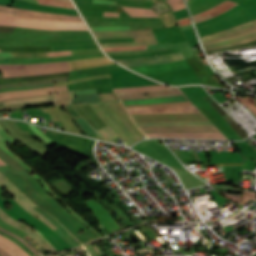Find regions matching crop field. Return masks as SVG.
I'll use <instances>...</instances> for the list:
<instances>
[{
  "instance_id": "crop-field-1",
  "label": "crop field",
  "mask_w": 256,
  "mask_h": 256,
  "mask_svg": "<svg viewBox=\"0 0 256 256\" xmlns=\"http://www.w3.org/2000/svg\"><path fill=\"white\" fill-rule=\"evenodd\" d=\"M205 50L237 45L256 39V21L201 38Z\"/></svg>"
},
{
  "instance_id": "crop-field-2",
  "label": "crop field",
  "mask_w": 256,
  "mask_h": 256,
  "mask_svg": "<svg viewBox=\"0 0 256 256\" xmlns=\"http://www.w3.org/2000/svg\"><path fill=\"white\" fill-rule=\"evenodd\" d=\"M1 194H3V192L0 189V208H2L6 213H8L17 220L21 219L29 223L36 230H38L57 250L71 248L49 227H47L40 220H38L33 215L25 211L22 207H20L13 198L5 200ZM5 201H7L11 206V209L8 211L5 209L3 205Z\"/></svg>"
},
{
  "instance_id": "crop-field-3",
  "label": "crop field",
  "mask_w": 256,
  "mask_h": 256,
  "mask_svg": "<svg viewBox=\"0 0 256 256\" xmlns=\"http://www.w3.org/2000/svg\"><path fill=\"white\" fill-rule=\"evenodd\" d=\"M150 94L143 96V94ZM123 105L189 101L179 88H168L140 93H115Z\"/></svg>"
},
{
  "instance_id": "crop-field-4",
  "label": "crop field",
  "mask_w": 256,
  "mask_h": 256,
  "mask_svg": "<svg viewBox=\"0 0 256 256\" xmlns=\"http://www.w3.org/2000/svg\"><path fill=\"white\" fill-rule=\"evenodd\" d=\"M0 25L30 27L43 30H87L83 22L49 20V19H27L14 16L0 15Z\"/></svg>"
},
{
  "instance_id": "crop-field-5",
  "label": "crop field",
  "mask_w": 256,
  "mask_h": 256,
  "mask_svg": "<svg viewBox=\"0 0 256 256\" xmlns=\"http://www.w3.org/2000/svg\"><path fill=\"white\" fill-rule=\"evenodd\" d=\"M66 62L27 65H0L3 78L43 75L69 71Z\"/></svg>"
},
{
  "instance_id": "crop-field-6",
  "label": "crop field",
  "mask_w": 256,
  "mask_h": 256,
  "mask_svg": "<svg viewBox=\"0 0 256 256\" xmlns=\"http://www.w3.org/2000/svg\"><path fill=\"white\" fill-rule=\"evenodd\" d=\"M97 39L103 38H127L134 37L135 43H106L101 44L102 47L117 46H139L155 44L157 41L153 37L150 30H131V31H93Z\"/></svg>"
},
{
  "instance_id": "crop-field-7",
  "label": "crop field",
  "mask_w": 256,
  "mask_h": 256,
  "mask_svg": "<svg viewBox=\"0 0 256 256\" xmlns=\"http://www.w3.org/2000/svg\"><path fill=\"white\" fill-rule=\"evenodd\" d=\"M140 126L163 125H206L211 122H166V123H136ZM144 132H219L214 125L207 126H164V127H140Z\"/></svg>"
},
{
  "instance_id": "crop-field-8",
  "label": "crop field",
  "mask_w": 256,
  "mask_h": 256,
  "mask_svg": "<svg viewBox=\"0 0 256 256\" xmlns=\"http://www.w3.org/2000/svg\"><path fill=\"white\" fill-rule=\"evenodd\" d=\"M0 186H6V191L11 194L15 198V200L29 213L35 215L42 221H44L48 226H50L53 230L57 229L47 218H45L42 214L36 212L33 208L36 207L33 205L21 192H19L15 186L3 175L0 174Z\"/></svg>"
},
{
  "instance_id": "crop-field-9",
  "label": "crop field",
  "mask_w": 256,
  "mask_h": 256,
  "mask_svg": "<svg viewBox=\"0 0 256 256\" xmlns=\"http://www.w3.org/2000/svg\"><path fill=\"white\" fill-rule=\"evenodd\" d=\"M0 14L22 16V17H28V18H49V19L81 21L80 17L55 15V14H48V13H42V12L21 10L14 7L1 6V5H0Z\"/></svg>"
},
{
  "instance_id": "crop-field-10",
  "label": "crop field",
  "mask_w": 256,
  "mask_h": 256,
  "mask_svg": "<svg viewBox=\"0 0 256 256\" xmlns=\"http://www.w3.org/2000/svg\"><path fill=\"white\" fill-rule=\"evenodd\" d=\"M183 59L180 52L172 53L168 55L154 56V57H140L125 60H117L127 67L149 65L154 63L169 62Z\"/></svg>"
},
{
  "instance_id": "crop-field-11",
  "label": "crop field",
  "mask_w": 256,
  "mask_h": 256,
  "mask_svg": "<svg viewBox=\"0 0 256 256\" xmlns=\"http://www.w3.org/2000/svg\"><path fill=\"white\" fill-rule=\"evenodd\" d=\"M62 91H68L66 85H60V86H55V87L45 88V89H38V90L4 92V93H0V96H4V97H0V100L16 98V97H23V96L42 95V94L62 92Z\"/></svg>"
},
{
  "instance_id": "crop-field-12",
  "label": "crop field",
  "mask_w": 256,
  "mask_h": 256,
  "mask_svg": "<svg viewBox=\"0 0 256 256\" xmlns=\"http://www.w3.org/2000/svg\"><path fill=\"white\" fill-rule=\"evenodd\" d=\"M0 218L4 221L14 225L15 227L25 231L32 238H34L42 247H44L47 251H55L37 232H31V228L23 223H19L15 221L12 217L6 214L3 210L0 209Z\"/></svg>"
},
{
  "instance_id": "crop-field-13",
  "label": "crop field",
  "mask_w": 256,
  "mask_h": 256,
  "mask_svg": "<svg viewBox=\"0 0 256 256\" xmlns=\"http://www.w3.org/2000/svg\"><path fill=\"white\" fill-rule=\"evenodd\" d=\"M129 113H151V112H197L194 105L191 106H169L148 108H126Z\"/></svg>"
},
{
  "instance_id": "crop-field-14",
  "label": "crop field",
  "mask_w": 256,
  "mask_h": 256,
  "mask_svg": "<svg viewBox=\"0 0 256 256\" xmlns=\"http://www.w3.org/2000/svg\"><path fill=\"white\" fill-rule=\"evenodd\" d=\"M149 138L152 137H179V138H210L227 139L221 133H145Z\"/></svg>"
},
{
  "instance_id": "crop-field-15",
  "label": "crop field",
  "mask_w": 256,
  "mask_h": 256,
  "mask_svg": "<svg viewBox=\"0 0 256 256\" xmlns=\"http://www.w3.org/2000/svg\"><path fill=\"white\" fill-rule=\"evenodd\" d=\"M103 106L119 121V123L136 139H141L143 136L127 121V119L110 103H105Z\"/></svg>"
},
{
  "instance_id": "crop-field-16",
  "label": "crop field",
  "mask_w": 256,
  "mask_h": 256,
  "mask_svg": "<svg viewBox=\"0 0 256 256\" xmlns=\"http://www.w3.org/2000/svg\"><path fill=\"white\" fill-rule=\"evenodd\" d=\"M237 3L231 2L229 0L219 4L218 6L207 10L203 13L197 14V15H193V19L195 21V23L206 20L208 18L214 17L230 8H232L233 6H235Z\"/></svg>"
},
{
  "instance_id": "crop-field-17",
  "label": "crop field",
  "mask_w": 256,
  "mask_h": 256,
  "mask_svg": "<svg viewBox=\"0 0 256 256\" xmlns=\"http://www.w3.org/2000/svg\"><path fill=\"white\" fill-rule=\"evenodd\" d=\"M222 1L224 0H187L192 15L210 9Z\"/></svg>"
},
{
  "instance_id": "crop-field-18",
  "label": "crop field",
  "mask_w": 256,
  "mask_h": 256,
  "mask_svg": "<svg viewBox=\"0 0 256 256\" xmlns=\"http://www.w3.org/2000/svg\"><path fill=\"white\" fill-rule=\"evenodd\" d=\"M0 248L4 249L11 256H29L17 244L0 235Z\"/></svg>"
},
{
  "instance_id": "crop-field-19",
  "label": "crop field",
  "mask_w": 256,
  "mask_h": 256,
  "mask_svg": "<svg viewBox=\"0 0 256 256\" xmlns=\"http://www.w3.org/2000/svg\"><path fill=\"white\" fill-rule=\"evenodd\" d=\"M75 91L76 90L70 91V92L51 94L55 106L69 105L73 98ZM42 96H47V95H42ZM34 97H39V96H34ZM25 98H31V97H25ZM16 99H23V98H16ZM10 100H14V99H10ZM3 101H6V100H3Z\"/></svg>"
},
{
  "instance_id": "crop-field-20",
  "label": "crop field",
  "mask_w": 256,
  "mask_h": 256,
  "mask_svg": "<svg viewBox=\"0 0 256 256\" xmlns=\"http://www.w3.org/2000/svg\"><path fill=\"white\" fill-rule=\"evenodd\" d=\"M122 8L131 16V17H158L155 12L151 9H141V8H133V7H125Z\"/></svg>"
},
{
  "instance_id": "crop-field-21",
  "label": "crop field",
  "mask_w": 256,
  "mask_h": 256,
  "mask_svg": "<svg viewBox=\"0 0 256 256\" xmlns=\"http://www.w3.org/2000/svg\"><path fill=\"white\" fill-rule=\"evenodd\" d=\"M40 183L41 185L47 190V192L52 195L55 199H57L59 202H61L69 211H71L80 221H82L86 226H88L98 237H101L95 229H93L89 224H87L82 218H80L74 211H72L60 198H58L53 192L50 191V189L47 187V185L44 183V181L38 177L37 175L34 176Z\"/></svg>"
},
{
  "instance_id": "crop-field-22",
  "label": "crop field",
  "mask_w": 256,
  "mask_h": 256,
  "mask_svg": "<svg viewBox=\"0 0 256 256\" xmlns=\"http://www.w3.org/2000/svg\"><path fill=\"white\" fill-rule=\"evenodd\" d=\"M160 88H168V86L157 85V86L134 87V88L117 89V90H114V92H139V91H146V90H153V89H160Z\"/></svg>"
},
{
  "instance_id": "crop-field-23",
  "label": "crop field",
  "mask_w": 256,
  "mask_h": 256,
  "mask_svg": "<svg viewBox=\"0 0 256 256\" xmlns=\"http://www.w3.org/2000/svg\"><path fill=\"white\" fill-rule=\"evenodd\" d=\"M40 4H46V5H53V6H59V7H66V8H72V4L70 1L65 0H38Z\"/></svg>"
},
{
  "instance_id": "crop-field-24",
  "label": "crop field",
  "mask_w": 256,
  "mask_h": 256,
  "mask_svg": "<svg viewBox=\"0 0 256 256\" xmlns=\"http://www.w3.org/2000/svg\"><path fill=\"white\" fill-rule=\"evenodd\" d=\"M52 100L50 96L47 97H40V98H32V99H26V100H14V101H8L3 102V105H13V104H22V103H31V102H39V101H48Z\"/></svg>"
},
{
  "instance_id": "crop-field-25",
  "label": "crop field",
  "mask_w": 256,
  "mask_h": 256,
  "mask_svg": "<svg viewBox=\"0 0 256 256\" xmlns=\"http://www.w3.org/2000/svg\"><path fill=\"white\" fill-rule=\"evenodd\" d=\"M64 80H66L65 77L59 78V79H53V80L31 82V83L10 84V85L0 86V89H2V88H11V87H18V86H26V85L43 84V83H50V82H58V81H64Z\"/></svg>"
},
{
  "instance_id": "crop-field-26",
  "label": "crop field",
  "mask_w": 256,
  "mask_h": 256,
  "mask_svg": "<svg viewBox=\"0 0 256 256\" xmlns=\"http://www.w3.org/2000/svg\"><path fill=\"white\" fill-rule=\"evenodd\" d=\"M234 97H236L239 101H241L249 110H251L255 115H256V105L254 103H256L255 100H253L250 97H238L233 95Z\"/></svg>"
},
{
  "instance_id": "crop-field-27",
  "label": "crop field",
  "mask_w": 256,
  "mask_h": 256,
  "mask_svg": "<svg viewBox=\"0 0 256 256\" xmlns=\"http://www.w3.org/2000/svg\"><path fill=\"white\" fill-rule=\"evenodd\" d=\"M97 132H98L102 137H104L107 141H110V142H114L112 139L118 137V136H116V135L111 131V129H110L108 126L97 130Z\"/></svg>"
},
{
  "instance_id": "crop-field-28",
  "label": "crop field",
  "mask_w": 256,
  "mask_h": 256,
  "mask_svg": "<svg viewBox=\"0 0 256 256\" xmlns=\"http://www.w3.org/2000/svg\"><path fill=\"white\" fill-rule=\"evenodd\" d=\"M175 46L165 47V48H158V49H151V50H140V51H127V52H107L108 55H115V54H134V53H144V52H155L160 50H168L174 49Z\"/></svg>"
},
{
  "instance_id": "crop-field-29",
  "label": "crop field",
  "mask_w": 256,
  "mask_h": 256,
  "mask_svg": "<svg viewBox=\"0 0 256 256\" xmlns=\"http://www.w3.org/2000/svg\"><path fill=\"white\" fill-rule=\"evenodd\" d=\"M0 148L3 149L7 154H9L12 158H14L19 164H21L24 168H26L29 172L33 171L31 168H29L20 158H18L16 155H14L12 152H10L7 148H5L0 143Z\"/></svg>"
},
{
  "instance_id": "crop-field-30",
  "label": "crop field",
  "mask_w": 256,
  "mask_h": 256,
  "mask_svg": "<svg viewBox=\"0 0 256 256\" xmlns=\"http://www.w3.org/2000/svg\"><path fill=\"white\" fill-rule=\"evenodd\" d=\"M7 140L10 145L13 144L15 142V140L13 138H11L6 132L5 130L0 126V142L7 147V145L3 142ZM8 148V147H7Z\"/></svg>"
},
{
  "instance_id": "crop-field-31",
  "label": "crop field",
  "mask_w": 256,
  "mask_h": 256,
  "mask_svg": "<svg viewBox=\"0 0 256 256\" xmlns=\"http://www.w3.org/2000/svg\"><path fill=\"white\" fill-rule=\"evenodd\" d=\"M50 86H54V84L51 83V84H43V85H35V86L12 88V89H3V90H0V92L13 91V90H23V89H38V88H44V87H50Z\"/></svg>"
},
{
  "instance_id": "crop-field-32",
  "label": "crop field",
  "mask_w": 256,
  "mask_h": 256,
  "mask_svg": "<svg viewBox=\"0 0 256 256\" xmlns=\"http://www.w3.org/2000/svg\"><path fill=\"white\" fill-rule=\"evenodd\" d=\"M172 7L173 11L184 9L183 0H166Z\"/></svg>"
},
{
  "instance_id": "crop-field-33",
  "label": "crop field",
  "mask_w": 256,
  "mask_h": 256,
  "mask_svg": "<svg viewBox=\"0 0 256 256\" xmlns=\"http://www.w3.org/2000/svg\"><path fill=\"white\" fill-rule=\"evenodd\" d=\"M29 125V124H28ZM31 127V129L34 131V133L39 136L41 139H43L46 143H48L49 145L51 143H53L54 141H52L51 139H49L48 137H46L43 133H41L35 126L29 125Z\"/></svg>"
},
{
  "instance_id": "crop-field-34",
  "label": "crop field",
  "mask_w": 256,
  "mask_h": 256,
  "mask_svg": "<svg viewBox=\"0 0 256 256\" xmlns=\"http://www.w3.org/2000/svg\"><path fill=\"white\" fill-rule=\"evenodd\" d=\"M243 191V190H241ZM250 199L256 201V193L244 191L243 193V204H245Z\"/></svg>"
},
{
  "instance_id": "crop-field-35",
  "label": "crop field",
  "mask_w": 256,
  "mask_h": 256,
  "mask_svg": "<svg viewBox=\"0 0 256 256\" xmlns=\"http://www.w3.org/2000/svg\"><path fill=\"white\" fill-rule=\"evenodd\" d=\"M192 104L191 102H179V103H164V104H151V105H135V106H125V107H142V106H163V105H186Z\"/></svg>"
},
{
  "instance_id": "crop-field-36",
  "label": "crop field",
  "mask_w": 256,
  "mask_h": 256,
  "mask_svg": "<svg viewBox=\"0 0 256 256\" xmlns=\"http://www.w3.org/2000/svg\"><path fill=\"white\" fill-rule=\"evenodd\" d=\"M104 51H112V50H140V49H146L145 46L140 47H119V48H103Z\"/></svg>"
},
{
  "instance_id": "crop-field-37",
  "label": "crop field",
  "mask_w": 256,
  "mask_h": 256,
  "mask_svg": "<svg viewBox=\"0 0 256 256\" xmlns=\"http://www.w3.org/2000/svg\"><path fill=\"white\" fill-rule=\"evenodd\" d=\"M220 193V192H218ZM223 196L227 197L228 199L240 204V200H241V195H237V194H226V193H220Z\"/></svg>"
},
{
  "instance_id": "crop-field-38",
  "label": "crop field",
  "mask_w": 256,
  "mask_h": 256,
  "mask_svg": "<svg viewBox=\"0 0 256 256\" xmlns=\"http://www.w3.org/2000/svg\"><path fill=\"white\" fill-rule=\"evenodd\" d=\"M91 30H126L129 27H90Z\"/></svg>"
},
{
  "instance_id": "crop-field-39",
  "label": "crop field",
  "mask_w": 256,
  "mask_h": 256,
  "mask_svg": "<svg viewBox=\"0 0 256 256\" xmlns=\"http://www.w3.org/2000/svg\"><path fill=\"white\" fill-rule=\"evenodd\" d=\"M65 55H72L70 51H61V52H49L48 57L51 56H65Z\"/></svg>"
},
{
  "instance_id": "crop-field-40",
  "label": "crop field",
  "mask_w": 256,
  "mask_h": 256,
  "mask_svg": "<svg viewBox=\"0 0 256 256\" xmlns=\"http://www.w3.org/2000/svg\"><path fill=\"white\" fill-rule=\"evenodd\" d=\"M0 230H2V231H4V232H6V233H8V234H10V235H12V236L18 238V239L21 240L32 252H34L36 255H38V253H37L36 251H34V250L28 245V243H27L26 241H24L23 239H21L20 237H18V236H16V235H14V234H12V233H10V232H8V231L2 229V228H0Z\"/></svg>"
},
{
  "instance_id": "crop-field-41",
  "label": "crop field",
  "mask_w": 256,
  "mask_h": 256,
  "mask_svg": "<svg viewBox=\"0 0 256 256\" xmlns=\"http://www.w3.org/2000/svg\"><path fill=\"white\" fill-rule=\"evenodd\" d=\"M93 3L116 5L117 2L109 0H94Z\"/></svg>"
},
{
  "instance_id": "crop-field-42",
  "label": "crop field",
  "mask_w": 256,
  "mask_h": 256,
  "mask_svg": "<svg viewBox=\"0 0 256 256\" xmlns=\"http://www.w3.org/2000/svg\"><path fill=\"white\" fill-rule=\"evenodd\" d=\"M178 23L180 24V26L191 24L188 17L184 18V19H181V20H178Z\"/></svg>"
},
{
  "instance_id": "crop-field-43",
  "label": "crop field",
  "mask_w": 256,
  "mask_h": 256,
  "mask_svg": "<svg viewBox=\"0 0 256 256\" xmlns=\"http://www.w3.org/2000/svg\"><path fill=\"white\" fill-rule=\"evenodd\" d=\"M0 64H12L11 58L0 59Z\"/></svg>"
},
{
  "instance_id": "crop-field-44",
  "label": "crop field",
  "mask_w": 256,
  "mask_h": 256,
  "mask_svg": "<svg viewBox=\"0 0 256 256\" xmlns=\"http://www.w3.org/2000/svg\"><path fill=\"white\" fill-rule=\"evenodd\" d=\"M86 247L89 249V251L91 252L92 256H98L96 251L93 249V247L91 246V244L86 245Z\"/></svg>"
},
{
  "instance_id": "crop-field-45",
  "label": "crop field",
  "mask_w": 256,
  "mask_h": 256,
  "mask_svg": "<svg viewBox=\"0 0 256 256\" xmlns=\"http://www.w3.org/2000/svg\"><path fill=\"white\" fill-rule=\"evenodd\" d=\"M3 57H15V56H13V55L10 54V53L0 52V58H3Z\"/></svg>"
},
{
  "instance_id": "crop-field-46",
  "label": "crop field",
  "mask_w": 256,
  "mask_h": 256,
  "mask_svg": "<svg viewBox=\"0 0 256 256\" xmlns=\"http://www.w3.org/2000/svg\"><path fill=\"white\" fill-rule=\"evenodd\" d=\"M104 16H114V17H118V13L104 12Z\"/></svg>"
},
{
  "instance_id": "crop-field-47",
  "label": "crop field",
  "mask_w": 256,
  "mask_h": 256,
  "mask_svg": "<svg viewBox=\"0 0 256 256\" xmlns=\"http://www.w3.org/2000/svg\"><path fill=\"white\" fill-rule=\"evenodd\" d=\"M0 256H10L8 253L0 249Z\"/></svg>"
}]
</instances>
